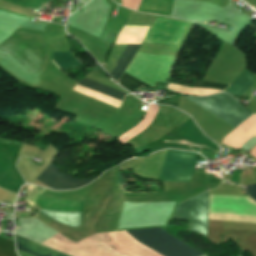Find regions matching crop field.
Segmentation results:
<instances>
[{
    "mask_svg": "<svg viewBox=\"0 0 256 256\" xmlns=\"http://www.w3.org/2000/svg\"><path fill=\"white\" fill-rule=\"evenodd\" d=\"M193 86L201 87V88H217L223 90L224 88L228 87L225 84H216L204 81H194Z\"/></svg>",
    "mask_w": 256,
    "mask_h": 256,
    "instance_id": "obj_16",
    "label": "crop field"
},
{
    "mask_svg": "<svg viewBox=\"0 0 256 256\" xmlns=\"http://www.w3.org/2000/svg\"><path fill=\"white\" fill-rule=\"evenodd\" d=\"M54 165L50 163V165L41 173V175L36 178L41 182L45 183L52 189H73L83 186L90 182L92 179L89 180H79L72 177L64 176L57 171Z\"/></svg>",
    "mask_w": 256,
    "mask_h": 256,
    "instance_id": "obj_8",
    "label": "crop field"
},
{
    "mask_svg": "<svg viewBox=\"0 0 256 256\" xmlns=\"http://www.w3.org/2000/svg\"><path fill=\"white\" fill-rule=\"evenodd\" d=\"M186 98V97H185ZM222 118L233 127H237L254 113L240 105L236 99L226 93L202 98H187ZM221 119V120H222Z\"/></svg>",
    "mask_w": 256,
    "mask_h": 256,
    "instance_id": "obj_4",
    "label": "crop field"
},
{
    "mask_svg": "<svg viewBox=\"0 0 256 256\" xmlns=\"http://www.w3.org/2000/svg\"><path fill=\"white\" fill-rule=\"evenodd\" d=\"M250 154L256 158V146L251 150Z\"/></svg>",
    "mask_w": 256,
    "mask_h": 256,
    "instance_id": "obj_19",
    "label": "crop field"
},
{
    "mask_svg": "<svg viewBox=\"0 0 256 256\" xmlns=\"http://www.w3.org/2000/svg\"><path fill=\"white\" fill-rule=\"evenodd\" d=\"M0 50L15 57L32 74L42 72L46 61V37L43 33L17 29Z\"/></svg>",
    "mask_w": 256,
    "mask_h": 256,
    "instance_id": "obj_2",
    "label": "crop field"
},
{
    "mask_svg": "<svg viewBox=\"0 0 256 256\" xmlns=\"http://www.w3.org/2000/svg\"><path fill=\"white\" fill-rule=\"evenodd\" d=\"M120 79V78H119ZM118 84L122 87H124L125 89L131 91V92H134V89L136 86H146V87H149L147 86L146 84L136 80L135 78L127 75L124 73V75L121 77V79L118 81ZM151 88V87H150Z\"/></svg>",
    "mask_w": 256,
    "mask_h": 256,
    "instance_id": "obj_14",
    "label": "crop field"
},
{
    "mask_svg": "<svg viewBox=\"0 0 256 256\" xmlns=\"http://www.w3.org/2000/svg\"><path fill=\"white\" fill-rule=\"evenodd\" d=\"M52 60L61 68L68 69L79 66V62L71 55L70 52H53ZM52 61V62H53ZM53 62V63H54ZM54 63V64H55ZM55 66L60 69L57 65Z\"/></svg>",
    "mask_w": 256,
    "mask_h": 256,
    "instance_id": "obj_13",
    "label": "crop field"
},
{
    "mask_svg": "<svg viewBox=\"0 0 256 256\" xmlns=\"http://www.w3.org/2000/svg\"><path fill=\"white\" fill-rule=\"evenodd\" d=\"M208 191L178 205L175 217L190 220V229L206 236Z\"/></svg>",
    "mask_w": 256,
    "mask_h": 256,
    "instance_id": "obj_6",
    "label": "crop field"
},
{
    "mask_svg": "<svg viewBox=\"0 0 256 256\" xmlns=\"http://www.w3.org/2000/svg\"><path fill=\"white\" fill-rule=\"evenodd\" d=\"M44 188L41 190L40 194L43 192ZM48 217L57 220L61 223L77 227L80 225L81 213L74 212H61V211H49L41 210Z\"/></svg>",
    "mask_w": 256,
    "mask_h": 256,
    "instance_id": "obj_9",
    "label": "crop field"
},
{
    "mask_svg": "<svg viewBox=\"0 0 256 256\" xmlns=\"http://www.w3.org/2000/svg\"><path fill=\"white\" fill-rule=\"evenodd\" d=\"M251 199V198H250Z\"/></svg>",
    "mask_w": 256,
    "mask_h": 256,
    "instance_id": "obj_20",
    "label": "crop field"
},
{
    "mask_svg": "<svg viewBox=\"0 0 256 256\" xmlns=\"http://www.w3.org/2000/svg\"><path fill=\"white\" fill-rule=\"evenodd\" d=\"M198 155L168 151L159 179L160 181H189Z\"/></svg>",
    "mask_w": 256,
    "mask_h": 256,
    "instance_id": "obj_5",
    "label": "crop field"
},
{
    "mask_svg": "<svg viewBox=\"0 0 256 256\" xmlns=\"http://www.w3.org/2000/svg\"><path fill=\"white\" fill-rule=\"evenodd\" d=\"M159 19V18H158ZM155 19L144 42L177 44L184 25Z\"/></svg>",
    "mask_w": 256,
    "mask_h": 256,
    "instance_id": "obj_7",
    "label": "crop field"
},
{
    "mask_svg": "<svg viewBox=\"0 0 256 256\" xmlns=\"http://www.w3.org/2000/svg\"><path fill=\"white\" fill-rule=\"evenodd\" d=\"M141 0H122L123 6L132 9V10H137Z\"/></svg>",
    "mask_w": 256,
    "mask_h": 256,
    "instance_id": "obj_17",
    "label": "crop field"
},
{
    "mask_svg": "<svg viewBox=\"0 0 256 256\" xmlns=\"http://www.w3.org/2000/svg\"><path fill=\"white\" fill-rule=\"evenodd\" d=\"M253 85L252 76L245 70L225 91L233 95H242Z\"/></svg>",
    "mask_w": 256,
    "mask_h": 256,
    "instance_id": "obj_11",
    "label": "crop field"
},
{
    "mask_svg": "<svg viewBox=\"0 0 256 256\" xmlns=\"http://www.w3.org/2000/svg\"><path fill=\"white\" fill-rule=\"evenodd\" d=\"M0 256H16L14 243L0 238Z\"/></svg>",
    "mask_w": 256,
    "mask_h": 256,
    "instance_id": "obj_15",
    "label": "crop field"
},
{
    "mask_svg": "<svg viewBox=\"0 0 256 256\" xmlns=\"http://www.w3.org/2000/svg\"><path fill=\"white\" fill-rule=\"evenodd\" d=\"M177 57L156 56L137 52L125 73L154 87L155 82H167Z\"/></svg>",
    "mask_w": 256,
    "mask_h": 256,
    "instance_id": "obj_3",
    "label": "crop field"
},
{
    "mask_svg": "<svg viewBox=\"0 0 256 256\" xmlns=\"http://www.w3.org/2000/svg\"><path fill=\"white\" fill-rule=\"evenodd\" d=\"M140 45H127L125 51L123 52L122 56L120 57L115 69L109 74L111 75L116 81L121 76V74L124 72L125 68L129 64L130 60L134 56V54L137 52Z\"/></svg>",
    "mask_w": 256,
    "mask_h": 256,
    "instance_id": "obj_10",
    "label": "crop field"
},
{
    "mask_svg": "<svg viewBox=\"0 0 256 256\" xmlns=\"http://www.w3.org/2000/svg\"><path fill=\"white\" fill-rule=\"evenodd\" d=\"M247 194L256 201V184L247 186Z\"/></svg>",
    "mask_w": 256,
    "mask_h": 256,
    "instance_id": "obj_18",
    "label": "crop field"
},
{
    "mask_svg": "<svg viewBox=\"0 0 256 256\" xmlns=\"http://www.w3.org/2000/svg\"><path fill=\"white\" fill-rule=\"evenodd\" d=\"M126 232H128L132 237H134L137 241H139L143 245L149 247L150 249L156 251L157 253L163 256L203 255L202 253L182 243L181 241L176 239L174 236L167 234L161 228L130 230ZM14 239H15V244L25 247L27 249L33 250L35 252L41 253L46 256H67L16 235H14ZM17 245H16L17 250L28 252L34 256H43L41 254L19 247Z\"/></svg>",
    "mask_w": 256,
    "mask_h": 256,
    "instance_id": "obj_1",
    "label": "crop field"
},
{
    "mask_svg": "<svg viewBox=\"0 0 256 256\" xmlns=\"http://www.w3.org/2000/svg\"><path fill=\"white\" fill-rule=\"evenodd\" d=\"M79 84L84 85L86 87H89V88H91L93 90H96L98 92H101L103 94H106L108 96H111V97H113L115 99H118L120 101L122 100V98L125 95V93H123V92H120V91H117L115 89L109 88L107 86H104L102 84L96 83V82L91 81V80H88L86 78L81 80L79 82Z\"/></svg>",
    "mask_w": 256,
    "mask_h": 256,
    "instance_id": "obj_12",
    "label": "crop field"
}]
</instances>
